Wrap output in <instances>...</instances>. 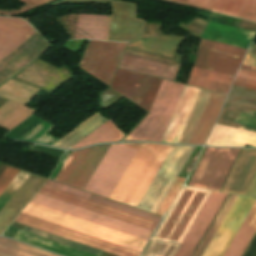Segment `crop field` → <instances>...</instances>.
Returning a JSON list of instances; mask_svg holds the SVG:
<instances>
[{
  "mask_svg": "<svg viewBox=\"0 0 256 256\" xmlns=\"http://www.w3.org/2000/svg\"><path fill=\"white\" fill-rule=\"evenodd\" d=\"M171 148L142 143L110 199L136 207Z\"/></svg>",
  "mask_w": 256,
  "mask_h": 256,
  "instance_id": "1",
  "label": "crop field"
},
{
  "mask_svg": "<svg viewBox=\"0 0 256 256\" xmlns=\"http://www.w3.org/2000/svg\"><path fill=\"white\" fill-rule=\"evenodd\" d=\"M184 86L163 80L149 113L123 141L161 142Z\"/></svg>",
  "mask_w": 256,
  "mask_h": 256,
  "instance_id": "2",
  "label": "crop field"
},
{
  "mask_svg": "<svg viewBox=\"0 0 256 256\" xmlns=\"http://www.w3.org/2000/svg\"><path fill=\"white\" fill-rule=\"evenodd\" d=\"M203 190L182 187L153 239L180 244L210 194Z\"/></svg>",
  "mask_w": 256,
  "mask_h": 256,
  "instance_id": "3",
  "label": "crop field"
},
{
  "mask_svg": "<svg viewBox=\"0 0 256 256\" xmlns=\"http://www.w3.org/2000/svg\"><path fill=\"white\" fill-rule=\"evenodd\" d=\"M23 213L137 250L142 251L146 240L30 202ZM148 242V241H147Z\"/></svg>",
  "mask_w": 256,
  "mask_h": 256,
  "instance_id": "4",
  "label": "crop field"
},
{
  "mask_svg": "<svg viewBox=\"0 0 256 256\" xmlns=\"http://www.w3.org/2000/svg\"><path fill=\"white\" fill-rule=\"evenodd\" d=\"M110 145L84 190L109 198L141 143Z\"/></svg>",
  "mask_w": 256,
  "mask_h": 256,
  "instance_id": "5",
  "label": "crop field"
},
{
  "mask_svg": "<svg viewBox=\"0 0 256 256\" xmlns=\"http://www.w3.org/2000/svg\"><path fill=\"white\" fill-rule=\"evenodd\" d=\"M193 149L194 147L189 146H173L137 208L155 213Z\"/></svg>",
  "mask_w": 256,
  "mask_h": 256,
  "instance_id": "6",
  "label": "crop field"
},
{
  "mask_svg": "<svg viewBox=\"0 0 256 256\" xmlns=\"http://www.w3.org/2000/svg\"><path fill=\"white\" fill-rule=\"evenodd\" d=\"M210 93V91L201 90L179 143H188ZM225 97L226 95L223 94L211 93L188 144H205Z\"/></svg>",
  "mask_w": 256,
  "mask_h": 256,
  "instance_id": "7",
  "label": "crop field"
},
{
  "mask_svg": "<svg viewBox=\"0 0 256 256\" xmlns=\"http://www.w3.org/2000/svg\"><path fill=\"white\" fill-rule=\"evenodd\" d=\"M238 151L207 148L189 185L219 191Z\"/></svg>",
  "mask_w": 256,
  "mask_h": 256,
  "instance_id": "8",
  "label": "crop field"
},
{
  "mask_svg": "<svg viewBox=\"0 0 256 256\" xmlns=\"http://www.w3.org/2000/svg\"><path fill=\"white\" fill-rule=\"evenodd\" d=\"M126 44L90 41L80 68L110 84Z\"/></svg>",
  "mask_w": 256,
  "mask_h": 256,
  "instance_id": "9",
  "label": "crop field"
},
{
  "mask_svg": "<svg viewBox=\"0 0 256 256\" xmlns=\"http://www.w3.org/2000/svg\"><path fill=\"white\" fill-rule=\"evenodd\" d=\"M15 222L75 241L77 243L116 255L139 256L140 252L21 213Z\"/></svg>",
  "mask_w": 256,
  "mask_h": 256,
  "instance_id": "10",
  "label": "crop field"
},
{
  "mask_svg": "<svg viewBox=\"0 0 256 256\" xmlns=\"http://www.w3.org/2000/svg\"><path fill=\"white\" fill-rule=\"evenodd\" d=\"M246 50L200 40L194 66L234 76Z\"/></svg>",
  "mask_w": 256,
  "mask_h": 256,
  "instance_id": "11",
  "label": "crop field"
},
{
  "mask_svg": "<svg viewBox=\"0 0 256 256\" xmlns=\"http://www.w3.org/2000/svg\"><path fill=\"white\" fill-rule=\"evenodd\" d=\"M109 145L72 152L56 181L83 189Z\"/></svg>",
  "mask_w": 256,
  "mask_h": 256,
  "instance_id": "12",
  "label": "crop field"
},
{
  "mask_svg": "<svg viewBox=\"0 0 256 256\" xmlns=\"http://www.w3.org/2000/svg\"><path fill=\"white\" fill-rule=\"evenodd\" d=\"M161 81L118 69L111 88L149 111Z\"/></svg>",
  "mask_w": 256,
  "mask_h": 256,
  "instance_id": "13",
  "label": "crop field"
},
{
  "mask_svg": "<svg viewBox=\"0 0 256 256\" xmlns=\"http://www.w3.org/2000/svg\"><path fill=\"white\" fill-rule=\"evenodd\" d=\"M32 202L148 240L152 231L37 193Z\"/></svg>",
  "mask_w": 256,
  "mask_h": 256,
  "instance_id": "14",
  "label": "crop field"
},
{
  "mask_svg": "<svg viewBox=\"0 0 256 256\" xmlns=\"http://www.w3.org/2000/svg\"><path fill=\"white\" fill-rule=\"evenodd\" d=\"M256 198L238 196L203 256H222L255 202Z\"/></svg>",
  "mask_w": 256,
  "mask_h": 256,
  "instance_id": "15",
  "label": "crop field"
},
{
  "mask_svg": "<svg viewBox=\"0 0 256 256\" xmlns=\"http://www.w3.org/2000/svg\"><path fill=\"white\" fill-rule=\"evenodd\" d=\"M227 194L211 192L173 256H191Z\"/></svg>",
  "mask_w": 256,
  "mask_h": 256,
  "instance_id": "16",
  "label": "crop field"
},
{
  "mask_svg": "<svg viewBox=\"0 0 256 256\" xmlns=\"http://www.w3.org/2000/svg\"><path fill=\"white\" fill-rule=\"evenodd\" d=\"M39 193L154 231L157 222L44 185ZM159 224V223H158Z\"/></svg>",
  "mask_w": 256,
  "mask_h": 256,
  "instance_id": "17",
  "label": "crop field"
},
{
  "mask_svg": "<svg viewBox=\"0 0 256 256\" xmlns=\"http://www.w3.org/2000/svg\"><path fill=\"white\" fill-rule=\"evenodd\" d=\"M135 5L115 2L107 40L129 42L140 39L143 21L134 19Z\"/></svg>",
  "mask_w": 256,
  "mask_h": 256,
  "instance_id": "18",
  "label": "crop field"
},
{
  "mask_svg": "<svg viewBox=\"0 0 256 256\" xmlns=\"http://www.w3.org/2000/svg\"><path fill=\"white\" fill-rule=\"evenodd\" d=\"M242 151H256V149H242ZM256 174V152H241L223 189L247 192ZM233 193L234 191H226Z\"/></svg>",
  "mask_w": 256,
  "mask_h": 256,
  "instance_id": "19",
  "label": "crop field"
},
{
  "mask_svg": "<svg viewBox=\"0 0 256 256\" xmlns=\"http://www.w3.org/2000/svg\"><path fill=\"white\" fill-rule=\"evenodd\" d=\"M36 31L19 18L0 17V60L11 53Z\"/></svg>",
  "mask_w": 256,
  "mask_h": 256,
  "instance_id": "20",
  "label": "crop field"
},
{
  "mask_svg": "<svg viewBox=\"0 0 256 256\" xmlns=\"http://www.w3.org/2000/svg\"><path fill=\"white\" fill-rule=\"evenodd\" d=\"M201 89L185 86L162 142L178 143Z\"/></svg>",
  "mask_w": 256,
  "mask_h": 256,
  "instance_id": "21",
  "label": "crop field"
},
{
  "mask_svg": "<svg viewBox=\"0 0 256 256\" xmlns=\"http://www.w3.org/2000/svg\"><path fill=\"white\" fill-rule=\"evenodd\" d=\"M47 179L31 174L0 211V234Z\"/></svg>",
  "mask_w": 256,
  "mask_h": 256,
  "instance_id": "22",
  "label": "crop field"
},
{
  "mask_svg": "<svg viewBox=\"0 0 256 256\" xmlns=\"http://www.w3.org/2000/svg\"><path fill=\"white\" fill-rule=\"evenodd\" d=\"M119 68L174 81L180 67L125 53Z\"/></svg>",
  "mask_w": 256,
  "mask_h": 256,
  "instance_id": "23",
  "label": "crop field"
},
{
  "mask_svg": "<svg viewBox=\"0 0 256 256\" xmlns=\"http://www.w3.org/2000/svg\"><path fill=\"white\" fill-rule=\"evenodd\" d=\"M256 147V133L216 124L206 145Z\"/></svg>",
  "mask_w": 256,
  "mask_h": 256,
  "instance_id": "24",
  "label": "crop field"
},
{
  "mask_svg": "<svg viewBox=\"0 0 256 256\" xmlns=\"http://www.w3.org/2000/svg\"><path fill=\"white\" fill-rule=\"evenodd\" d=\"M111 16L79 14L75 39L106 40Z\"/></svg>",
  "mask_w": 256,
  "mask_h": 256,
  "instance_id": "25",
  "label": "crop field"
},
{
  "mask_svg": "<svg viewBox=\"0 0 256 256\" xmlns=\"http://www.w3.org/2000/svg\"><path fill=\"white\" fill-rule=\"evenodd\" d=\"M218 124L256 131V111L223 105Z\"/></svg>",
  "mask_w": 256,
  "mask_h": 256,
  "instance_id": "26",
  "label": "crop field"
},
{
  "mask_svg": "<svg viewBox=\"0 0 256 256\" xmlns=\"http://www.w3.org/2000/svg\"><path fill=\"white\" fill-rule=\"evenodd\" d=\"M256 231V202L223 256H241Z\"/></svg>",
  "mask_w": 256,
  "mask_h": 256,
  "instance_id": "27",
  "label": "crop field"
},
{
  "mask_svg": "<svg viewBox=\"0 0 256 256\" xmlns=\"http://www.w3.org/2000/svg\"><path fill=\"white\" fill-rule=\"evenodd\" d=\"M14 238L60 253L65 256H95L21 230L18 231Z\"/></svg>",
  "mask_w": 256,
  "mask_h": 256,
  "instance_id": "28",
  "label": "crop field"
},
{
  "mask_svg": "<svg viewBox=\"0 0 256 256\" xmlns=\"http://www.w3.org/2000/svg\"><path fill=\"white\" fill-rule=\"evenodd\" d=\"M34 112L33 109L9 100L0 107V127L10 130Z\"/></svg>",
  "mask_w": 256,
  "mask_h": 256,
  "instance_id": "29",
  "label": "crop field"
},
{
  "mask_svg": "<svg viewBox=\"0 0 256 256\" xmlns=\"http://www.w3.org/2000/svg\"><path fill=\"white\" fill-rule=\"evenodd\" d=\"M46 185H49V186H52V187H55V188H58V189L76 194V195H79V196H82V197H85V198H88V199H91V200H94V201H97V202L115 207V208L130 212V213H133V214H136V215H139V216H142V217H145V218L157 221V222H159V220L161 219L160 217H157V216H154V215H151V214L133 209L131 207H128V206H125V205H122V204H119V203H116V202H113V201H110V200H107V199L89 194V193H86V192H83V191H80V190H77L75 188H72V187H69V186L51 181V180H49L46 183Z\"/></svg>",
  "mask_w": 256,
  "mask_h": 256,
  "instance_id": "30",
  "label": "crop field"
},
{
  "mask_svg": "<svg viewBox=\"0 0 256 256\" xmlns=\"http://www.w3.org/2000/svg\"><path fill=\"white\" fill-rule=\"evenodd\" d=\"M125 136L114 126V124L108 121L106 124L98 128L82 141L74 145L72 148H79L85 145L98 143V142H111L120 141Z\"/></svg>",
  "mask_w": 256,
  "mask_h": 256,
  "instance_id": "31",
  "label": "crop field"
},
{
  "mask_svg": "<svg viewBox=\"0 0 256 256\" xmlns=\"http://www.w3.org/2000/svg\"><path fill=\"white\" fill-rule=\"evenodd\" d=\"M0 256H56L28 245L0 238Z\"/></svg>",
  "mask_w": 256,
  "mask_h": 256,
  "instance_id": "32",
  "label": "crop field"
},
{
  "mask_svg": "<svg viewBox=\"0 0 256 256\" xmlns=\"http://www.w3.org/2000/svg\"><path fill=\"white\" fill-rule=\"evenodd\" d=\"M236 198H237L236 195L229 194L227 200L225 201L224 205L222 206L220 212L218 213L217 217L215 218L213 224L211 225L210 229L208 230L206 236L204 237L203 241L201 242V244H200L199 248L197 249L196 253L194 254V256H202L203 252L205 251L209 242L213 238L214 234L216 233L217 229L219 228L220 224L222 223L223 219L225 218L226 214L230 210V208L233 205Z\"/></svg>",
  "mask_w": 256,
  "mask_h": 256,
  "instance_id": "33",
  "label": "crop field"
},
{
  "mask_svg": "<svg viewBox=\"0 0 256 256\" xmlns=\"http://www.w3.org/2000/svg\"><path fill=\"white\" fill-rule=\"evenodd\" d=\"M225 103L256 110V91L232 86Z\"/></svg>",
  "mask_w": 256,
  "mask_h": 256,
  "instance_id": "34",
  "label": "crop field"
},
{
  "mask_svg": "<svg viewBox=\"0 0 256 256\" xmlns=\"http://www.w3.org/2000/svg\"><path fill=\"white\" fill-rule=\"evenodd\" d=\"M177 247V244L151 240L143 256H172Z\"/></svg>",
  "mask_w": 256,
  "mask_h": 256,
  "instance_id": "35",
  "label": "crop field"
},
{
  "mask_svg": "<svg viewBox=\"0 0 256 256\" xmlns=\"http://www.w3.org/2000/svg\"><path fill=\"white\" fill-rule=\"evenodd\" d=\"M243 1L244 0H216L211 10L236 17Z\"/></svg>",
  "mask_w": 256,
  "mask_h": 256,
  "instance_id": "36",
  "label": "crop field"
},
{
  "mask_svg": "<svg viewBox=\"0 0 256 256\" xmlns=\"http://www.w3.org/2000/svg\"><path fill=\"white\" fill-rule=\"evenodd\" d=\"M186 84L225 93V94L228 93V90L230 87L228 85H224V84H220V83H216V82H212V81H208V80H204V79H200L192 76L189 77Z\"/></svg>",
  "mask_w": 256,
  "mask_h": 256,
  "instance_id": "37",
  "label": "crop field"
},
{
  "mask_svg": "<svg viewBox=\"0 0 256 256\" xmlns=\"http://www.w3.org/2000/svg\"><path fill=\"white\" fill-rule=\"evenodd\" d=\"M190 75L208 79V80H212V81H216V82H220V83H224V84H228V85L231 84V81L233 79L232 76H228V75H224V74H220V73H216V72H211V71H207V70H203V69H199V68H195V67L192 68Z\"/></svg>",
  "mask_w": 256,
  "mask_h": 256,
  "instance_id": "38",
  "label": "crop field"
},
{
  "mask_svg": "<svg viewBox=\"0 0 256 256\" xmlns=\"http://www.w3.org/2000/svg\"><path fill=\"white\" fill-rule=\"evenodd\" d=\"M183 182H184V179H181L179 177L177 178L174 185L172 186L167 196L159 206L158 210L156 211V214L160 216L164 215L165 211L167 210L168 206L170 205L171 201L173 200L174 196L176 195L177 191L179 190Z\"/></svg>",
  "mask_w": 256,
  "mask_h": 256,
  "instance_id": "39",
  "label": "crop field"
},
{
  "mask_svg": "<svg viewBox=\"0 0 256 256\" xmlns=\"http://www.w3.org/2000/svg\"><path fill=\"white\" fill-rule=\"evenodd\" d=\"M237 17L256 22V0H245Z\"/></svg>",
  "mask_w": 256,
  "mask_h": 256,
  "instance_id": "40",
  "label": "crop field"
},
{
  "mask_svg": "<svg viewBox=\"0 0 256 256\" xmlns=\"http://www.w3.org/2000/svg\"><path fill=\"white\" fill-rule=\"evenodd\" d=\"M20 169L12 168L7 166L6 169L0 175V194L7 187V185L13 180L18 174Z\"/></svg>",
  "mask_w": 256,
  "mask_h": 256,
  "instance_id": "41",
  "label": "crop field"
},
{
  "mask_svg": "<svg viewBox=\"0 0 256 256\" xmlns=\"http://www.w3.org/2000/svg\"><path fill=\"white\" fill-rule=\"evenodd\" d=\"M234 80L256 85V72L239 69Z\"/></svg>",
  "mask_w": 256,
  "mask_h": 256,
  "instance_id": "42",
  "label": "crop field"
},
{
  "mask_svg": "<svg viewBox=\"0 0 256 256\" xmlns=\"http://www.w3.org/2000/svg\"><path fill=\"white\" fill-rule=\"evenodd\" d=\"M21 1L25 4L22 10H19V11H0V13H2V14H15V13H18V12H21V11H24V10L42 5L44 3L53 1V0H21Z\"/></svg>",
  "mask_w": 256,
  "mask_h": 256,
  "instance_id": "43",
  "label": "crop field"
},
{
  "mask_svg": "<svg viewBox=\"0 0 256 256\" xmlns=\"http://www.w3.org/2000/svg\"><path fill=\"white\" fill-rule=\"evenodd\" d=\"M214 1L215 0H189L187 4L210 10Z\"/></svg>",
  "mask_w": 256,
  "mask_h": 256,
  "instance_id": "44",
  "label": "crop field"
},
{
  "mask_svg": "<svg viewBox=\"0 0 256 256\" xmlns=\"http://www.w3.org/2000/svg\"><path fill=\"white\" fill-rule=\"evenodd\" d=\"M243 64L256 67V55L247 53Z\"/></svg>",
  "mask_w": 256,
  "mask_h": 256,
  "instance_id": "45",
  "label": "crop field"
},
{
  "mask_svg": "<svg viewBox=\"0 0 256 256\" xmlns=\"http://www.w3.org/2000/svg\"><path fill=\"white\" fill-rule=\"evenodd\" d=\"M244 256H256V237L254 238Z\"/></svg>",
  "mask_w": 256,
  "mask_h": 256,
  "instance_id": "46",
  "label": "crop field"
},
{
  "mask_svg": "<svg viewBox=\"0 0 256 256\" xmlns=\"http://www.w3.org/2000/svg\"><path fill=\"white\" fill-rule=\"evenodd\" d=\"M247 195L256 196V176L247 192Z\"/></svg>",
  "mask_w": 256,
  "mask_h": 256,
  "instance_id": "47",
  "label": "crop field"
},
{
  "mask_svg": "<svg viewBox=\"0 0 256 256\" xmlns=\"http://www.w3.org/2000/svg\"><path fill=\"white\" fill-rule=\"evenodd\" d=\"M232 85L256 90V86L249 85V84H244V83H240V82H236V81H234Z\"/></svg>",
  "mask_w": 256,
  "mask_h": 256,
  "instance_id": "48",
  "label": "crop field"
},
{
  "mask_svg": "<svg viewBox=\"0 0 256 256\" xmlns=\"http://www.w3.org/2000/svg\"><path fill=\"white\" fill-rule=\"evenodd\" d=\"M242 68H246V69H250V70H255L256 71V68H253V67H248V66H244V65H241Z\"/></svg>",
  "mask_w": 256,
  "mask_h": 256,
  "instance_id": "49",
  "label": "crop field"
},
{
  "mask_svg": "<svg viewBox=\"0 0 256 256\" xmlns=\"http://www.w3.org/2000/svg\"><path fill=\"white\" fill-rule=\"evenodd\" d=\"M172 1H176V2H180V3L186 4L188 0H172Z\"/></svg>",
  "mask_w": 256,
  "mask_h": 256,
  "instance_id": "50",
  "label": "crop field"
}]
</instances>
